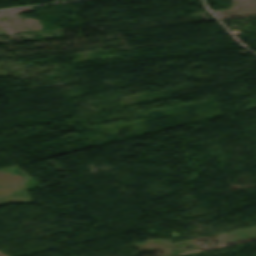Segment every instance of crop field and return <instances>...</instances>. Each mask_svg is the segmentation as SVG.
Here are the masks:
<instances>
[{
  "instance_id": "obj_1",
  "label": "crop field",
  "mask_w": 256,
  "mask_h": 256,
  "mask_svg": "<svg viewBox=\"0 0 256 256\" xmlns=\"http://www.w3.org/2000/svg\"><path fill=\"white\" fill-rule=\"evenodd\" d=\"M29 177L16 166L0 169V205L14 202H31L24 186V181Z\"/></svg>"
},
{
  "instance_id": "obj_2",
  "label": "crop field",
  "mask_w": 256,
  "mask_h": 256,
  "mask_svg": "<svg viewBox=\"0 0 256 256\" xmlns=\"http://www.w3.org/2000/svg\"><path fill=\"white\" fill-rule=\"evenodd\" d=\"M0 256H5V255H3L2 253H0Z\"/></svg>"
}]
</instances>
